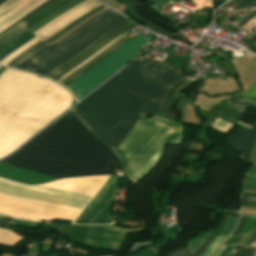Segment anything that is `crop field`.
Segmentation results:
<instances>
[{
  "label": "crop field",
  "instance_id": "crop-field-1",
  "mask_svg": "<svg viewBox=\"0 0 256 256\" xmlns=\"http://www.w3.org/2000/svg\"><path fill=\"white\" fill-rule=\"evenodd\" d=\"M189 79L179 69L140 57L71 110L114 151L142 115L163 111Z\"/></svg>",
  "mask_w": 256,
  "mask_h": 256
},
{
  "label": "crop field",
  "instance_id": "crop-field-2",
  "mask_svg": "<svg viewBox=\"0 0 256 256\" xmlns=\"http://www.w3.org/2000/svg\"><path fill=\"white\" fill-rule=\"evenodd\" d=\"M0 163L58 178L123 172L114 153L70 111Z\"/></svg>",
  "mask_w": 256,
  "mask_h": 256
},
{
  "label": "crop field",
  "instance_id": "crop-field-3",
  "mask_svg": "<svg viewBox=\"0 0 256 256\" xmlns=\"http://www.w3.org/2000/svg\"><path fill=\"white\" fill-rule=\"evenodd\" d=\"M184 131L156 116L141 117L114 151L134 186L157 166L167 145H182Z\"/></svg>",
  "mask_w": 256,
  "mask_h": 256
},
{
  "label": "crop field",
  "instance_id": "crop-field-4",
  "mask_svg": "<svg viewBox=\"0 0 256 256\" xmlns=\"http://www.w3.org/2000/svg\"><path fill=\"white\" fill-rule=\"evenodd\" d=\"M151 39L141 33L131 39L117 51L105 58L79 79L68 85L77 99L82 98L109 76H111L122 65L130 61L137 51Z\"/></svg>",
  "mask_w": 256,
  "mask_h": 256
},
{
  "label": "crop field",
  "instance_id": "crop-field-5",
  "mask_svg": "<svg viewBox=\"0 0 256 256\" xmlns=\"http://www.w3.org/2000/svg\"><path fill=\"white\" fill-rule=\"evenodd\" d=\"M46 224L81 244L111 251H119L128 234L147 228Z\"/></svg>",
  "mask_w": 256,
  "mask_h": 256
},
{
  "label": "crop field",
  "instance_id": "crop-field-6",
  "mask_svg": "<svg viewBox=\"0 0 256 256\" xmlns=\"http://www.w3.org/2000/svg\"><path fill=\"white\" fill-rule=\"evenodd\" d=\"M0 191L81 209L89 196L42 185H24L0 178Z\"/></svg>",
  "mask_w": 256,
  "mask_h": 256
},
{
  "label": "crop field",
  "instance_id": "crop-field-7",
  "mask_svg": "<svg viewBox=\"0 0 256 256\" xmlns=\"http://www.w3.org/2000/svg\"><path fill=\"white\" fill-rule=\"evenodd\" d=\"M120 16L119 14L115 12H110L106 14L105 16L95 20L90 25H88L86 28H84L82 31H80L75 36L71 37L67 41H65L63 44L58 46L57 48H52L48 44L40 48L39 50L35 51L33 54H31L29 57H27L25 60H23L21 63L15 66V68L28 70L31 72H35L37 69L48 63L49 61L53 60L57 56L61 55L68 49L72 48L74 45L79 43L81 40H83L85 37H87L89 34H91L94 30H96L98 27L102 26L106 22ZM38 71V70H37Z\"/></svg>",
  "mask_w": 256,
  "mask_h": 256
},
{
  "label": "crop field",
  "instance_id": "crop-field-8",
  "mask_svg": "<svg viewBox=\"0 0 256 256\" xmlns=\"http://www.w3.org/2000/svg\"><path fill=\"white\" fill-rule=\"evenodd\" d=\"M117 178L110 176L100 191L92 198L85 209L78 216V224H114L111 217L110 203L117 191Z\"/></svg>",
  "mask_w": 256,
  "mask_h": 256
},
{
  "label": "crop field",
  "instance_id": "crop-field-9",
  "mask_svg": "<svg viewBox=\"0 0 256 256\" xmlns=\"http://www.w3.org/2000/svg\"><path fill=\"white\" fill-rule=\"evenodd\" d=\"M127 21L124 17H119L106 25L102 26L95 32H93L91 35H89L87 38H85L83 41H81L79 44H77L75 47L70 49L69 51L65 52L61 56L57 57L50 63H48L46 66L43 68L39 69L35 74L43 75L45 76L47 73L51 72L58 66L62 65L66 61L70 60L74 56L78 55L81 53L85 48H87L89 45L100 39L102 36H104L106 33L109 31L113 30L114 28L118 27L122 23ZM86 50V49H85Z\"/></svg>",
  "mask_w": 256,
  "mask_h": 256
},
{
  "label": "crop field",
  "instance_id": "crop-field-10",
  "mask_svg": "<svg viewBox=\"0 0 256 256\" xmlns=\"http://www.w3.org/2000/svg\"><path fill=\"white\" fill-rule=\"evenodd\" d=\"M70 0H52L45 6L41 7L34 13H32L30 16H28L26 19L21 21L18 25L28 29L29 27L33 26L37 22H39L41 19L45 18L47 15H49L52 11L56 10L57 8L61 7L62 5L66 4ZM25 29L15 26L11 30L5 32L0 36V47L13 38H15L17 35L22 33Z\"/></svg>",
  "mask_w": 256,
  "mask_h": 256
},
{
  "label": "crop field",
  "instance_id": "crop-field-11",
  "mask_svg": "<svg viewBox=\"0 0 256 256\" xmlns=\"http://www.w3.org/2000/svg\"><path fill=\"white\" fill-rule=\"evenodd\" d=\"M255 131L256 122L249 131L239 128L235 133L228 136L226 142L235 151L242 152L241 157L245 158L250 140Z\"/></svg>",
  "mask_w": 256,
  "mask_h": 256
},
{
  "label": "crop field",
  "instance_id": "crop-field-12",
  "mask_svg": "<svg viewBox=\"0 0 256 256\" xmlns=\"http://www.w3.org/2000/svg\"><path fill=\"white\" fill-rule=\"evenodd\" d=\"M130 25H132V23L128 21V22L124 23L123 25H121L120 27H118V28L114 29L113 31L109 32L103 38H101L100 40H98L97 42L92 44L86 51H84L80 55L74 57L73 59H71L70 61H68L67 63H65L61 67H59L58 69H56L53 72H51L50 74H48L46 77H49L51 79L55 78L58 74H60L61 72H63L64 70H66L67 68L72 66L74 63H76L77 61H79L80 59H82L83 57L88 55L90 52H92L94 49H96L102 43H104L105 41H107L108 39L113 37L115 34H117L119 31H121L122 29H124V28H126Z\"/></svg>",
  "mask_w": 256,
  "mask_h": 256
},
{
  "label": "crop field",
  "instance_id": "crop-field-13",
  "mask_svg": "<svg viewBox=\"0 0 256 256\" xmlns=\"http://www.w3.org/2000/svg\"><path fill=\"white\" fill-rule=\"evenodd\" d=\"M36 37L35 35L25 31L22 34H20L18 37L4 45L0 48V60H2L4 57H6L9 53L13 52L14 50L21 47L23 44H25L30 39Z\"/></svg>",
  "mask_w": 256,
  "mask_h": 256
},
{
  "label": "crop field",
  "instance_id": "crop-field-14",
  "mask_svg": "<svg viewBox=\"0 0 256 256\" xmlns=\"http://www.w3.org/2000/svg\"><path fill=\"white\" fill-rule=\"evenodd\" d=\"M24 238L10 232L7 230L0 229V243L14 247L17 245L19 242L23 241Z\"/></svg>",
  "mask_w": 256,
  "mask_h": 256
},
{
  "label": "crop field",
  "instance_id": "crop-field-15",
  "mask_svg": "<svg viewBox=\"0 0 256 256\" xmlns=\"http://www.w3.org/2000/svg\"><path fill=\"white\" fill-rule=\"evenodd\" d=\"M128 40H130V38H126L125 40H123L121 43H119L117 46H115L113 49H111L109 52H107L105 55H103L101 58H99L98 60H96L94 63H92L90 66H88L86 69H84L83 71L79 72L78 74H76L74 77H72L70 80H68L67 82H65L63 85L67 86L70 82H72L74 79L78 78L79 76H81L83 73H85L87 70H89L90 68H92L94 65H96L98 62H100L101 60H103L105 57H107L108 55H110L112 52H114L116 49H118L120 46H122L124 43H126Z\"/></svg>",
  "mask_w": 256,
  "mask_h": 256
},
{
  "label": "crop field",
  "instance_id": "crop-field-16",
  "mask_svg": "<svg viewBox=\"0 0 256 256\" xmlns=\"http://www.w3.org/2000/svg\"><path fill=\"white\" fill-rule=\"evenodd\" d=\"M111 11L110 9H107L105 11H103L102 13L90 18L89 20H87L86 22H84L83 24H81L79 27H77L75 30H73L71 33H69L68 35H66L65 37H63L62 39H60L59 41H57L56 43H54L53 45H51L52 47H57L58 45H60L62 42H64L65 40H67L68 38H70L72 35H74L76 32H78L79 30H81L82 28H84L85 26H87L89 23H91L93 20H95L96 18L106 14L107 12Z\"/></svg>",
  "mask_w": 256,
  "mask_h": 256
},
{
  "label": "crop field",
  "instance_id": "crop-field-17",
  "mask_svg": "<svg viewBox=\"0 0 256 256\" xmlns=\"http://www.w3.org/2000/svg\"><path fill=\"white\" fill-rule=\"evenodd\" d=\"M129 31V30H128ZM127 31V32H128ZM127 32L121 34L120 36H118L117 38H115L114 40H112L110 43H108L106 46H104L103 48H101L100 50H98L96 53H94L93 55H91L89 58H87L86 60H84L82 63H80L79 65H77L75 68H73L71 71H69L67 74H65L64 76H62L61 78H59L57 80V82H60L63 78H65L68 74H70L71 72L75 71L76 69H78L79 67H81L83 64H85L86 62H88L89 60H91L93 57H95L96 55H98L99 53H101L103 50H105L107 47H109L111 44H113L115 41L119 40L120 38H122Z\"/></svg>",
  "mask_w": 256,
  "mask_h": 256
},
{
  "label": "crop field",
  "instance_id": "crop-field-18",
  "mask_svg": "<svg viewBox=\"0 0 256 256\" xmlns=\"http://www.w3.org/2000/svg\"><path fill=\"white\" fill-rule=\"evenodd\" d=\"M238 218L227 216L218 235L228 236L232 231Z\"/></svg>",
  "mask_w": 256,
  "mask_h": 256
},
{
  "label": "crop field",
  "instance_id": "crop-field-19",
  "mask_svg": "<svg viewBox=\"0 0 256 256\" xmlns=\"http://www.w3.org/2000/svg\"><path fill=\"white\" fill-rule=\"evenodd\" d=\"M230 256H256V248L236 245Z\"/></svg>",
  "mask_w": 256,
  "mask_h": 256
},
{
  "label": "crop field",
  "instance_id": "crop-field-20",
  "mask_svg": "<svg viewBox=\"0 0 256 256\" xmlns=\"http://www.w3.org/2000/svg\"><path fill=\"white\" fill-rule=\"evenodd\" d=\"M210 128L227 134L233 128H235V126H233V125H231L229 123H226V122H224V121H222V120L217 118V120L213 123V125Z\"/></svg>",
  "mask_w": 256,
  "mask_h": 256
},
{
  "label": "crop field",
  "instance_id": "crop-field-21",
  "mask_svg": "<svg viewBox=\"0 0 256 256\" xmlns=\"http://www.w3.org/2000/svg\"><path fill=\"white\" fill-rule=\"evenodd\" d=\"M207 237H195L191 240H189L187 247L191 253V255L203 244V242L206 240Z\"/></svg>",
  "mask_w": 256,
  "mask_h": 256
},
{
  "label": "crop field",
  "instance_id": "crop-field-22",
  "mask_svg": "<svg viewBox=\"0 0 256 256\" xmlns=\"http://www.w3.org/2000/svg\"><path fill=\"white\" fill-rule=\"evenodd\" d=\"M125 38V37H124ZM124 38L120 39L119 41L115 42L113 45H111L108 49H106L104 52H102L101 54H99L98 56H96L94 59H92L91 61H89L88 63H86L84 66H82L81 68H79L78 70H76L75 72H73L71 75H69L68 77H66L64 80H62L60 83L63 84L66 80H68L69 78H71L73 75H75L76 73H78L79 71H81L83 68H85L86 66H88L89 64H91L93 61H95L96 59H98L100 56H102L104 53H106L108 50H110L112 47H114L116 44H118L120 41H122Z\"/></svg>",
  "mask_w": 256,
  "mask_h": 256
},
{
  "label": "crop field",
  "instance_id": "crop-field-23",
  "mask_svg": "<svg viewBox=\"0 0 256 256\" xmlns=\"http://www.w3.org/2000/svg\"><path fill=\"white\" fill-rule=\"evenodd\" d=\"M223 239L224 237H217L201 256H211Z\"/></svg>",
  "mask_w": 256,
  "mask_h": 256
},
{
  "label": "crop field",
  "instance_id": "crop-field-24",
  "mask_svg": "<svg viewBox=\"0 0 256 256\" xmlns=\"http://www.w3.org/2000/svg\"><path fill=\"white\" fill-rule=\"evenodd\" d=\"M135 25L121 31L120 33H118L116 36H114L113 38H111L110 40H108L107 42H105L103 45H105L106 43H108L109 41H111L112 39H114L115 37H117L118 35H120L121 33L125 32L126 30L134 27ZM103 45H101L99 48H101ZM99 48H97L95 51H97ZM95 51H93L91 54H93ZM91 54H89L88 56H90ZM88 56H86L85 58H83L82 60H80L79 62H77L75 65H73L72 67H70L69 69H67L66 71H64L63 73H61L60 75H58L54 80L56 81L59 77H61L62 75H64L65 73H67L69 70H71L73 67H75L77 64H79L80 62H82L84 59H86ZM89 58V57H88Z\"/></svg>",
  "mask_w": 256,
  "mask_h": 256
},
{
  "label": "crop field",
  "instance_id": "crop-field-25",
  "mask_svg": "<svg viewBox=\"0 0 256 256\" xmlns=\"http://www.w3.org/2000/svg\"><path fill=\"white\" fill-rule=\"evenodd\" d=\"M240 95H241V94H240ZM240 95L235 96V97H233V98L236 99V100L245 102V103H249V104L256 105V98L243 97V96H240Z\"/></svg>",
  "mask_w": 256,
  "mask_h": 256
},
{
  "label": "crop field",
  "instance_id": "crop-field-26",
  "mask_svg": "<svg viewBox=\"0 0 256 256\" xmlns=\"http://www.w3.org/2000/svg\"><path fill=\"white\" fill-rule=\"evenodd\" d=\"M168 256H191L189 251L187 250V248H182L178 251L172 252L170 255Z\"/></svg>",
  "mask_w": 256,
  "mask_h": 256
},
{
  "label": "crop field",
  "instance_id": "crop-field-27",
  "mask_svg": "<svg viewBox=\"0 0 256 256\" xmlns=\"http://www.w3.org/2000/svg\"><path fill=\"white\" fill-rule=\"evenodd\" d=\"M227 102L232 103V104H235V105H238V106H241V107H244V108H247V109H249V108L256 109L255 106L248 105V104H245V103L236 101V100H234V99H232V98L228 99Z\"/></svg>",
  "mask_w": 256,
  "mask_h": 256
},
{
  "label": "crop field",
  "instance_id": "crop-field-28",
  "mask_svg": "<svg viewBox=\"0 0 256 256\" xmlns=\"http://www.w3.org/2000/svg\"><path fill=\"white\" fill-rule=\"evenodd\" d=\"M242 205L256 206V198L243 197Z\"/></svg>",
  "mask_w": 256,
  "mask_h": 256
},
{
  "label": "crop field",
  "instance_id": "crop-field-29",
  "mask_svg": "<svg viewBox=\"0 0 256 256\" xmlns=\"http://www.w3.org/2000/svg\"><path fill=\"white\" fill-rule=\"evenodd\" d=\"M252 1L253 0H243L233 9H244L245 7L249 6Z\"/></svg>",
  "mask_w": 256,
  "mask_h": 256
},
{
  "label": "crop field",
  "instance_id": "crop-field-30",
  "mask_svg": "<svg viewBox=\"0 0 256 256\" xmlns=\"http://www.w3.org/2000/svg\"><path fill=\"white\" fill-rule=\"evenodd\" d=\"M16 1L17 0H7V1H5L3 4L0 5V12L5 10L6 8H8L10 5H12Z\"/></svg>",
  "mask_w": 256,
  "mask_h": 256
},
{
  "label": "crop field",
  "instance_id": "crop-field-31",
  "mask_svg": "<svg viewBox=\"0 0 256 256\" xmlns=\"http://www.w3.org/2000/svg\"><path fill=\"white\" fill-rule=\"evenodd\" d=\"M243 187L256 188V181L245 180Z\"/></svg>",
  "mask_w": 256,
  "mask_h": 256
},
{
  "label": "crop field",
  "instance_id": "crop-field-32",
  "mask_svg": "<svg viewBox=\"0 0 256 256\" xmlns=\"http://www.w3.org/2000/svg\"><path fill=\"white\" fill-rule=\"evenodd\" d=\"M255 138H256V132H255V134H254V136H253V138H252V140H251L250 147H249V152H248V156H247L246 162H248V160H249V156H250V153H251V150H252V147H253V143H254Z\"/></svg>",
  "mask_w": 256,
  "mask_h": 256
},
{
  "label": "crop field",
  "instance_id": "crop-field-33",
  "mask_svg": "<svg viewBox=\"0 0 256 256\" xmlns=\"http://www.w3.org/2000/svg\"><path fill=\"white\" fill-rule=\"evenodd\" d=\"M254 16H256V11H254L253 13H251L248 17H246L243 21L240 22V26L243 25L244 23H246L248 20H250L251 18H253Z\"/></svg>",
  "mask_w": 256,
  "mask_h": 256
},
{
  "label": "crop field",
  "instance_id": "crop-field-34",
  "mask_svg": "<svg viewBox=\"0 0 256 256\" xmlns=\"http://www.w3.org/2000/svg\"><path fill=\"white\" fill-rule=\"evenodd\" d=\"M210 239H211V237H208V239L205 241V243L202 245V247L197 252H195L192 256H195L198 252H200L205 247V245L208 243V241Z\"/></svg>",
  "mask_w": 256,
  "mask_h": 256
},
{
  "label": "crop field",
  "instance_id": "crop-field-35",
  "mask_svg": "<svg viewBox=\"0 0 256 256\" xmlns=\"http://www.w3.org/2000/svg\"><path fill=\"white\" fill-rule=\"evenodd\" d=\"M245 219H246V218H243V219H242V221H241V223H240V225H239V228H238V230H237V232H236L235 235H238V234L240 233L241 228H242V226H243V223H244Z\"/></svg>",
  "mask_w": 256,
  "mask_h": 256
},
{
  "label": "crop field",
  "instance_id": "crop-field-36",
  "mask_svg": "<svg viewBox=\"0 0 256 256\" xmlns=\"http://www.w3.org/2000/svg\"><path fill=\"white\" fill-rule=\"evenodd\" d=\"M255 147H256V140H255L254 147H253V150H252V153H251V156H250V162L249 163H252V161H253Z\"/></svg>",
  "mask_w": 256,
  "mask_h": 256
},
{
  "label": "crop field",
  "instance_id": "crop-field-37",
  "mask_svg": "<svg viewBox=\"0 0 256 256\" xmlns=\"http://www.w3.org/2000/svg\"><path fill=\"white\" fill-rule=\"evenodd\" d=\"M216 237H213L212 240L207 244V246L197 255L200 256L205 250L206 248L211 244V242L215 239Z\"/></svg>",
  "mask_w": 256,
  "mask_h": 256
},
{
  "label": "crop field",
  "instance_id": "crop-field-38",
  "mask_svg": "<svg viewBox=\"0 0 256 256\" xmlns=\"http://www.w3.org/2000/svg\"><path fill=\"white\" fill-rule=\"evenodd\" d=\"M225 217H226V216H223V218H222V220H221V223H220V225H219V227H218V230L216 231L215 235L218 234V232H219V230H220V228H221V225H222V223H223Z\"/></svg>",
  "mask_w": 256,
  "mask_h": 256
},
{
  "label": "crop field",
  "instance_id": "crop-field-39",
  "mask_svg": "<svg viewBox=\"0 0 256 256\" xmlns=\"http://www.w3.org/2000/svg\"><path fill=\"white\" fill-rule=\"evenodd\" d=\"M241 217L256 218V215L242 214V216H241Z\"/></svg>",
  "mask_w": 256,
  "mask_h": 256
},
{
  "label": "crop field",
  "instance_id": "crop-field-40",
  "mask_svg": "<svg viewBox=\"0 0 256 256\" xmlns=\"http://www.w3.org/2000/svg\"><path fill=\"white\" fill-rule=\"evenodd\" d=\"M250 246H256V234Z\"/></svg>",
  "mask_w": 256,
  "mask_h": 256
},
{
  "label": "crop field",
  "instance_id": "crop-field-41",
  "mask_svg": "<svg viewBox=\"0 0 256 256\" xmlns=\"http://www.w3.org/2000/svg\"><path fill=\"white\" fill-rule=\"evenodd\" d=\"M230 247H231V246L227 247V248L224 250V252H223L220 256H224V255L227 253V251L230 249Z\"/></svg>",
  "mask_w": 256,
  "mask_h": 256
},
{
  "label": "crop field",
  "instance_id": "crop-field-42",
  "mask_svg": "<svg viewBox=\"0 0 256 256\" xmlns=\"http://www.w3.org/2000/svg\"><path fill=\"white\" fill-rule=\"evenodd\" d=\"M249 42L253 43L256 41V35L254 37H252L251 39L248 40Z\"/></svg>",
  "mask_w": 256,
  "mask_h": 256
},
{
  "label": "crop field",
  "instance_id": "crop-field-43",
  "mask_svg": "<svg viewBox=\"0 0 256 256\" xmlns=\"http://www.w3.org/2000/svg\"><path fill=\"white\" fill-rule=\"evenodd\" d=\"M234 247H235V245L232 246V248H231L230 251L226 254V256H229V255H230V253L233 251Z\"/></svg>",
  "mask_w": 256,
  "mask_h": 256
},
{
  "label": "crop field",
  "instance_id": "crop-field-44",
  "mask_svg": "<svg viewBox=\"0 0 256 256\" xmlns=\"http://www.w3.org/2000/svg\"><path fill=\"white\" fill-rule=\"evenodd\" d=\"M224 249H225V248H221V249L218 251V253H217L216 256H219V255L223 252Z\"/></svg>",
  "mask_w": 256,
  "mask_h": 256
},
{
  "label": "crop field",
  "instance_id": "crop-field-45",
  "mask_svg": "<svg viewBox=\"0 0 256 256\" xmlns=\"http://www.w3.org/2000/svg\"><path fill=\"white\" fill-rule=\"evenodd\" d=\"M185 1L197 3L198 0H185ZM219 1H221V0H219Z\"/></svg>",
  "mask_w": 256,
  "mask_h": 256
},
{
  "label": "crop field",
  "instance_id": "crop-field-46",
  "mask_svg": "<svg viewBox=\"0 0 256 256\" xmlns=\"http://www.w3.org/2000/svg\"><path fill=\"white\" fill-rule=\"evenodd\" d=\"M5 68L0 67V74L4 71Z\"/></svg>",
  "mask_w": 256,
  "mask_h": 256
},
{
  "label": "crop field",
  "instance_id": "crop-field-47",
  "mask_svg": "<svg viewBox=\"0 0 256 256\" xmlns=\"http://www.w3.org/2000/svg\"><path fill=\"white\" fill-rule=\"evenodd\" d=\"M249 173H253V174H256V171H249Z\"/></svg>",
  "mask_w": 256,
  "mask_h": 256
},
{
  "label": "crop field",
  "instance_id": "crop-field-48",
  "mask_svg": "<svg viewBox=\"0 0 256 256\" xmlns=\"http://www.w3.org/2000/svg\"><path fill=\"white\" fill-rule=\"evenodd\" d=\"M211 232H212V230H209V232L207 233V235H210Z\"/></svg>",
  "mask_w": 256,
  "mask_h": 256
},
{
  "label": "crop field",
  "instance_id": "crop-field-49",
  "mask_svg": "<svg viewBox=\"0 0 256 256\" xmlns=\"http://www.w3.org/2000/svg\"><path fill=\"white\" fill-rule=\"evenodd\" d=\"M5 0H0V4L3 3Z\"/></svg>",
  "mask_w": 256,
  "mask_h": 256
}]
</instances>
